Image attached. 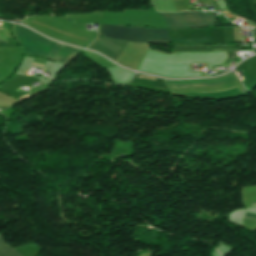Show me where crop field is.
<instances>
[{
  "label": "crop field",
  "instance_id": "crop-field-8",
  "mask_svg": "<svg viewBox=\"0 0 256 256\" xmlns=\"http://www.w3.org/2000/svg\"><path fill=\"white\" fill-rule=\"evenodd\" d=\"M245 216L256 219V215H253V214L246 213Z\"/></svg>",
  "mask_w": 256,
  "mask_h": 256
},
{
  "label": "crop field",
  "instance_id": "crop-field-9",
  "mask_svg": "<svg viewBox=\"0 0 256 256\" xmlns=\"http://www.w3.org/2000/svg\"><path fill=\"white\" fill-rule=\"evenodd\" d=\"M253 204H256V203H253Z\"/></svg>",
  "mask_w": 256,
  "mask_h": 256
},
{
  "label": "crop field",
  "instance_id": "crop-field-1",
  "mask_svg": "<svg viewBox=\"0 0 256 256\" xmlns=\"http://www.w3.org/2000/svg\"><path fill=\"white\" fill-rule=\"evenodd\" d=\"M16 32L27 54L51 58L66 63L81 50L69 46H62L44 37L16 25Z\"/></svg>",
  "mask_w": 256,
  "mask_h": 256
},
{
  "label": "crop field",
  "instance_id": "crop-field-2",
  "mask_svg": "<svg viewBox=\"0 0 256 256\" xmlns=\"http://www.w3.org/2000/svg\"><path fill=\"white\" fill-rule=\"evenodd\" d=\"M101 35L119 40L159 43L170 42L168 29L131 28L123 26L101 25Z\"/></svg>",
  "mask_w": 256,
  "mask_h": 256
},
{
  "label": "crop field",
  "instance_id": "crop-field-3",
  "mask_svg": "<svg viewBox=\"0 0 256 256\" xmlns=\"http://www.w3.org/2000/svg\"><path fill=\"white\" fill-rule=\"evenodd\" d=\"M168 89L178 90H193V89H206V88H218L227 87L233 85H239L240 82L234 73H229L225 76L206 79V80H188V81H164Z\"/></svg>",
  "mask_w": 256,
  "mask_h": 256
},
{
  "label": "crop field",
  "instance_id": "crop-field-7",
  "mask_svg": "<svg viewBox=\"0 0 256 256\" xmlns=\"http://www.w3.org/2000/svg\"><path fill=\"white\" fill-rule=\"evenodd\" d=\"M33 62H36V63H42V64H45V62L44 61H40V60H34ZM34 65H38V66H44V65H41V64H35V63H33Z\"/></svg>",
  "mask_w": 256,
  "mask_h": 256
},
{
  "label": "crop field",
  "instance_id": "crop-field-6",
  "mask_svg": "<svg viewBox=\"0 0 256 256\" xmlns=\"http://www.w3.org/2000/svg\"><path fill=\"white\" fill-rule=\"evenodd\" d=\"M0 256H20L15 250L5 244L0 234Z\"/></svg>",
  "mask_w": 256,
  "mask_h": 256
},
{
  "label": "crop field",
  "instance_id": "crop-field-5",
  "mask_svg": "<svg viewBox=\"0 0 256 256\" xmlns=\"http://www.w3.org/2000/svg\"><path fill=\"white\" fill-rule=\"evenodd\" d=\"M126 44L125 41L99 38L89 49L98 51L117 62Z\"/></svg>",
  "mask_w": 256,
  "mask_h": 256
},
{
  "label": "crop field",
  "instance_id": "crop-field-4",
  "mask_svg": "<svg viewBox=\"0 0 256 256\" xmlns=\"http://www.w3.org/2000/svg\"><path fill=\"white\" fill-rule=\"evenodd\" d=\"M167 22L168 28H187L192 26H211L216 22L212 15L203 12H181L174 14H161Z\"/></svg>",
  "mask_w": 256,
  "mask_h": 256
}]
</instances>
